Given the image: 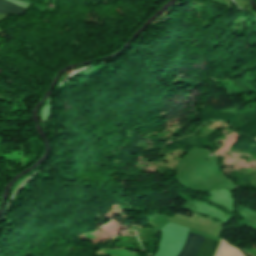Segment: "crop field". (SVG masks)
<instances>
[{
  "mask_svg": "<svg viewBox=\"0 0 256 256\" xmlns=\"http://www.w3.org/2000/svg\"><path fill=\"white\" fill-rule=\"evenodd\" d=\"M208 240V238L189 232L186 242L181 252L177 256H202L205 251ZM218 243V241L210 239L203 256H213Z\"/></svg>",
  "mask_w": 256,
  "mask_h": 256,
  "instance_id": "1",
  "label": "crop field"
},
{
  "mask_svg": "<svg viewBox=\"0 0 256 256\" xmlns=\"http://www.w3.org/2000/svg\"><path fill=\"white\" fill-rule=\"evenodd\" d=\"M215 256H243L235 247L222 241Z\"/></svg>",
  "mask_w": 256,
  "mask_h": 256,
  "instance_id": "3",
  "label": "crop field"
},
{
  "mask_svg": "<svg viewBox=\"0 0 256 256\" xmlns=\"http://www.w3.org/2000/svg\"><path fill=\"white\" fill-rule=\"evenodd\" d=\"M25 9V8H24ZM5 0H0V14L19 15L25 10Z\"/></svg>",
  "mask_w": 256,
  "mask_h": 256,
  "instance_id": "2",
  "label": "crop field"
}]
</instances>
